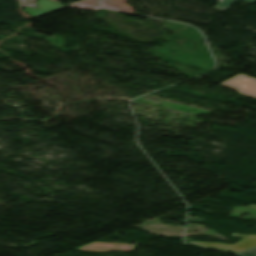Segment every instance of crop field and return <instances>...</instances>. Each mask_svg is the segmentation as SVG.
Instances as JSON below:
<instances>
[{
    "instance_id": "obj_1",
    "label": "crop field",
    "mask_w": 256,
    "mask_h": 256,
    "mask_svg": "<svg viewBox=\"0 0 256 256\" xmlns=\"http://www.w3.org/2000/svg\"><path fill=\"white\" fill-rule=\"evenodd\" d=\"M250 206L256 208V205H250ZM232 236L243 237V239L240 242L236 243L235 245L220 244V243H208V242H196V241H190V242H188V244L198 245V246H203V247H208V248H213V249L228 250V251H232L235 253L245 250L247 248L256 246V235L243 236V235L233 234Z\"/></svg>"
},
{
    "instance_id": "obj_2",
    "label": "crop field",
    "mask_w": 256,
    "mask_h": 256,
    "mask_svg": "<svg viewBox=\"0 0 256 256\" xmlns=\"http://www.w3.org/2000/svg\"><path fill=\"white\" fill-rule=\"evenodd\" d=\"M222 85L236 89L241 94L248 95L256 98V79L245 75H238L224 83Z\"/></svg>"
},
{
    "instance_id": "obj_3",
    "label": "crop field",
    "mask_w": 256,
    "mask_h": 256,
    "mask_svg": "<svg viewBox=\"0 0 256 256\" xmlns=\"http://www.w3.org/2000/svg\"><path fill=\"white\" fill-rule=\"evenodd\" d=\"M135 246L136 245L92 242L76 250L91 251V252H102V251H110V250L132 251L135 249Z\"/></svg>"
},
{
    "instance_id": "obj_4",
    "label": "crop field",
    "mask_w": 256,
    "mask_h": 256,
    "mask_svg": "<svg viewBox=\"0 0 256 256\" xmlns=\"http://www.w3.org/2000/svg\"><path fill=\"white\" fill-rule=\"evenodd\" d=\"M220 1L215 8H218L222 11L227 10L236 0H218ZM247 3L254 4L256 0H243Z\"/></svg>"
},
{
    "instance_id": "obj_5",
    "label": "crop field",
    "mask_w": 256,
    "mask_h": 256,
    "mask_svg": "<svg viewBox=\"0 0 256 256\" xmlns=\"http://www.w3.org/2000/svg\"><path fill=\"white\" fill-rule=\"evenodd\" d=\"M239 256H256V247L237 253Z\"/></svg>"
}]
</instances>
